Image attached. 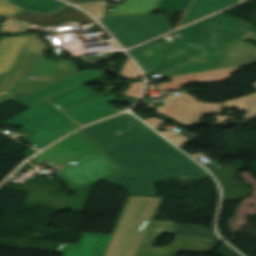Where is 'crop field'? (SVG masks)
Instances as JSON below:
<instances>
[{
  "instance_id": "crop-field-18",
  "label": "crop field",
  "mask_w": 256,
  "mask_h": 256,
  "mask_svg": "<svg viewBox=\"0 0 256 256\" xmlns=\"http://www.w3.org/2000/svg\"><path fill=\"white\" fill-rule=\"evenodd\" d=\"M5 2L11 3L24 10L37 12L48 15L68 4L58 0H6Z\"/></svg>"
},
{
  "instance_id": "crop-field-4",
  "label": "crop field",
  "mask_w": 256,
  "mask_h": 256,
  "mask_svg": "<svg viewBox=\"0 0 256 256\" xmlns=\"http://www.w3.org/2000/svg\"><path fill=\"white\" fill-rule=\"evenodd\" d=\"M162 199L128 196L103 256H136Z\"/></svg>"
},
{
  "instance_id": "crop-field-12",
  "label": "crop field",
  "mask_w": 256,
  "mask_h": 256,
  "mask_svg": "<svg viewBox=\"0 0 256 256\" xmlns=\"http://www.w3.org/2000/svg\"><path fill=\"white\" fill-rule=\"evenodd\" d=\"M13 18L40 26H58L66 21L78 23L94 21L89 15L70 5L49 16L24 11Z\"/></svg>"
},
{
  "instance_id": "crop-field-30",
  "label": "crop field",
  "mask_w": 256,
  "mask_h": 256,
  "mask_svg": "<svg viewBox=\"0 0 256 256\" xmlns=\"http://www.w3.org/2000/svg\"><path fill=\"white\" fill-rule=\"evenodd\" d=\"M254 116H256V103L252 106V108L249 110V112L247 114L243 115V117L245 119L250 118V117H254Z\"/></svg>"
},
{
  "instance_id": "crop-field-32",
  "label": "crop field",
  "mask_w": 256,
  "mask_h": 256,
  "mask_svg": "<svg viewBox=\"0 0 256 256\" xmlns=\"http://www.w3.org/2000/svg\"><path fill=\"white\" fill-rule=\"evenodd\" d=\"M215 118H217V121L213 123L212 125H218L221 121L231 119L230 117H224L221 115H217Z\"/></svg>"
},
{
  "instance_id": "crop-field-10",
  "label": "crop field",
  "mask_w": 256,
  "mask_h": 256,
  "mask_svg": "<svg viewBox=\"0 0 256 256\" xmlns=\"http://www.w3.org/2000/svg\"><path fill=\"white\" fill-rule=\"evenodd\" d=\"M115 99L114 94H112L63 109V111L83 126L89 122L118 113V111L107 104L108 102L115 101Z\"/></svg>"
},
{
  "instance_id": "crop-field-15",
  "label": "crop field",
  "mask_w": 256,
  "mask_h": 256,
  "mask_svg": "<svg viewBox=\"0 0 256 256\" xmlns=\"http://www.w3.org/2000/svg\"><path fill=\"white\" fill-rule=\"evenodd\" d=\"M24 49L40 55L30 75L55 74L59 72V67L57 68L55 61L43 58L45 51H48V46L37 38V33L31 34Z\"/></svg>"
},
{
  "instance_id": "crop-field-16",
  "label": "crop field",
  "mask_w": 256,
  "mask_h": 256,
  "mask_svg": "<svg viewBox=\"0 0 256 256\" xmlns=\"http://www.w3.org/2000/svg\"><path fill=\"white\" fill-rule=\"evenodd\" d=\"M28 38L29 35L0 38V74L9 71L19 49Z\"/></svg>"
},
{
  "instance_id": "crop-field-23",
  "label": "crop field",
  "mask_w": 256,
  "mask_h": 256,
  "mask_svg": "<svg viewBox=\"0 0 256 256\" xmlns=\"http://www.w3.org/2000/svg\"><path fill=\"white\" fill-rule=\"evenodd\" d=\"M29 27L30 25L7 19L0 27V32H22Z\"/></svg>"
},
{
  "instance_id": "crop-field-27",
  "label": "crop field",
  "mask_w": 256,
  "mask_h": 256,
  "mask_svg": "<svg viewBox=\"0 0 256 256\" xmlns=\"http://www.w3.org/2000/svg\"><path fill=\"white\" fill-rule=\"evenodd\" d=\"M218 253H220L222 256H240L225 244L222 246Z\"/></svg>"
},
{
  "instance_id": "crop-field-9",
  "label": "crop field",
  "mask_w": 256,
  "mask_h": 256,
  "mask_svg": "<svg viewBox=\"0 0 256 256\" xmlns=\"http://www.w3.org/2000/svg\"><path fill=\"white\" fill-rule=\"evenodd\" d=\"M102 76H104V73L99 70H88L80 72L35 92L22 96L14 101L31 107L49 96L78 86L82 83L90 82Z\"/></svg>"
},
{
  "instance_id": "crop-field-13",
  "label": "crop field",
  "mask_w": 256,
  "mask_h": 256,
  "mask_svg": "<svg viewBox=\"0 0 256 256\" xmlns=\"http://www.w3.org/2000/svg\"><path fill=\"white\" fill-rule=\"evenodd\" d=\"M240 68L173 78L171 79L172 83L159 84L157 85V87L161 91H170V90H180L186 84L197 82V81L202 83L223 82L228 77H230L232 73L239 70Z\"/></svg>"
},
{
  "instance_id": "crop-field-22",
  "label": "crop field",
  "mask_w": 256,
  "mask_h": 256,
  "mask_svg": "<svg viewBox=\"0 0 256 256\" xmlns=\"http://www.w3.org/2000/svg\"><path fill=\"white\" fill-rule=\"evenodd\" d=\"M254 101H256V93L239 97L235 100L225 101L224 105H225V108L237 107L243 111H246Z\"/></svg>"
},
{
  "instance_id": "crop-field-28",
  "label": "crop field",
  "mask_w": 256,
  "mask_h": 256,
  "mask_svg": "<svg viewBox=\"0 0 256 256\" xmlns=\"http://www.w3.org/2000/svg\"><path fill=\"white\" fill-rule=\"evenodd\" d=\"M167 139H169L172 143H174L176 146H178L180 148V146L186 141L188 140L186 137L184 136H179L176 138L173 137H167Z\"/></svg>"
},
{
  "instance_id": "crop-field-5",
  "label": "crop field",
  "mask_w": 256,
  "mask_h": 256,
  "mask_svg": "<svg viewBox=\"0 0 256 256\" xmlns=\"http://www.w3.org/2000/svg\"><path fill=\"white\" fill-rule=\"evenodd\" d=\"M148 129L125 113L75 132L98 151Z\"/></svg>"
},
{
  "instance_id": "crop-field-20",
  "label": "crop field",
  "mask_w": 256,
  "mask_h": 256,
  "mask_svg": "<svg viewBox=\"0 0 256 256\" xmlns=\"http://www.w3.org/2000/svg\"><path fill=\"white\" fill-rule=\"evenodd\" d=\"M193 0H159L154 10L184 11L188 10Z\"/></svg>"
},
{
  "instance_id": "crop-field-6",
  "label": "crop field",
  "mask_w": 256,
  "mask_h": 256,
  "mask_svg": "<svg viewBox=\"0 0 256 256\" xmlns=\"http://www.w3.org/2000/svg\"><path fill=\"white\" fill-rule=\"evenodd\" d=\"M176 223L153 222L137 256H177L180 251H211L217 240L174 234ZM165 232L176 235L174 243L152 248L156 237Z\"/></svg>"
},
{
  "instance_id": "crop-field-17",
  "label": "crop field",
  "mask_w": 256,
  "mask_h": 256,
  "mask_svg": "<svg viewBox=\"0 0 256 256\" xmlns=\"http://www.w3.org/2000/svg\"><path fill=\"white\" fill-rule=\"evenodd\" d=\"M158 0H125L105 17L151 15Z\"/></svg>"
},
{
  "instance_id": "crop-field-2",
  "label": "crop field",
  "mask_w": 256,
  "mask_h": 256,
  "mask_svg": "<svg viewBox=\"0 0 256 256\" xmlns=\"http://www.w3.org/2000/svg\"><path fill=\"white\" fill-rule=\"evenodd\" d=\"M123 170L105 180L130 194L156 195L153 182L210 175L150 129L100 151Z\"/></svg>"
},
{
  "instance_id": "crop-field-8",
  "label": "crop field",
  "mask_w": 256,
  "mask_h": 256,
  "mask_svg": "<svg viewBox=\"0 0 256 256\" xmlns=\"http://www.w3.org/2000/svg\"><path fill=\"white\" fill-rule=\"evenodd\" d=\"M100 22L124 49L171 31L148 32L139 17L104 18Z\"/></svg>"
},
{
  "instance_id": "crop-field-19",
  "label": "crop field",
  "mask_w": 256,
  "mask_h": 256,
  "mask_svg": "<svg viewBox=\"0 0 256 256\" xmlns=\"http://www.w3.org/2000/svg\"><path fill=\"white\" fill-rule=\"evenodd\" d=\"M175 233L218 239L213 230L190 224L177 223Z\"/></svg>"
},
{
  "instance_id": "crop-field-7",
  "label": "crop field",
  "mask_w": 256,
  "mask_h": 256,
  "mask_svg": "<svg viewBox=\"0 0 256 256\" xmlns=\"http://www.w3.org/2000/svg\"><path fill=\"white\" fill-rule=\"evenodd\" d=\"M220 112L218 104L197 102L195 98L182 93L181 96L164 99V105L157 108V113L168 115L184 124H194L204 115Z\"/></svg>"
},
{
  "instance_id": "crop-field-33",
  "label": "crop field",
  "mask_w": 256,
  "mask_h": 256,
  "mask_svg": "<svg viewBox=\"0 0 256 256\" xmlns=\"http://www.w3.org/2000/svg\"><path fill=\"white\" fill-rule=\"evenodd\" d=\"M178 35H179V34L175 33V34L170 35V36H167V37H165V38L175 43V41H176Z\"/></svg>"
},
{
  "instance_id": "crop-field-11",
  "label": "crop field",
  "mask_w": 256,
  "mask_h": 256,
  "mask_svg": "<svg viewBox=\"0 0 256 256\" xmlns=\"http://www.w3.org/2000/svg\"><path fill=\"white\" fill-rule=\"evenodd\" d=\"M219 21L222 22L219 23ZM200 23L227 36L242 40L250 38L256 42V27L252 23H247L244 20L219 13Z\"/></svg>"
},
{
  "instance_id": "crop-field-21",
  "label": "crop field",
  "mask_w": 256,
  "mask_h": 256,
  "mask_svg": "<svg viewBox=\"0 0 256 256\" xmlns=\"http://www.w3.org/2000/svg\"><path fill=\"white\" fill-rule=\"evenodd\" d=\"M148 31L171 29L164 14L140 17Z\"/></svg>"
},
{
  "instance_id": "crop-field-3",
  "label": "crop field",
  "mask_w": 256,
  "mask_h": 256,
  "mask_svg": "<svg viewBox=\"0 0 256 256\" xmlns=\"http://www.w3.org/2000/svg\"><path fill=\"white\" fill-rule=\"evenodd\" d=\"M31 160L47 163L58 171L78 162L55 174L76 192L122 170L74 133Z\"/></svg>"
},
{
  "instance_id": "crop-field-14",
  "label": "crop field",
  "mask_w": 256,
  "mask_h": 256,
  "mask_svg": "<svg viewBox=\"0 0 256 256\" xmlns=\"http://www.w3.org/2000/svg\"><path fill=\"white\" fill-rule=\"evenodd\" d=\"M238 2L239 0H194L179 27L227 8Z\"/></svg>"
},
{
  "instance_id": "crop-field-34",
  "label": "crop field",
  "mask_w": 256,
  "mask_h": 256,
  "mask_svg": "<svg viewBox=\"0 0 256 256\" xmlns=\"http://www.w3.org/2000/svg\"><path fill=\"white\" fill-rule=\"evenodd\" d=\"M253 86H255V87H256V82L253 84Z\"/></svg>"
},
{
  "instance_id": "crop-field-31",
  "label": "crop field",
  "mask_w": 256,
  "mask_h": 256,
  "mask_svg": "<svg viewBox=\"0 0 256 256\" xmlns=\"http://www.w3.org/2000/svg\"><path fill=\"white\" fill-rule=\"evenodd\" d=\"M65 1L73 4H82V3H87V2L96 1V0H65Z\"/></svg>"
},
{
  "instance_id": "crop-field-25",
  "label": "crop field",
  "mask_w": 256,
  "mask_h": 256,
  "mask_svg": "<svg viewBox=\"0 0 256 256\" xmlns=\"http://www.w3.org/2000/svg\"><path fill=\"white\" fill-rule=\"evenodd\" d=\"M142 88H143V82L131 84L130 87L125 92V95L133 99H138L142 92Z\"/></svg>"
},
{
  "instance_id": "crop-field-24",
  "label": "crop field",
  "mask_w": 256,
  "mask_h": 256,
  "mask_svg": "<svg viewBox=\"0 0 256 256\" xmlns=\"http://www.w3.org/2000/svg\"><path fill=\"white\" fill-rule=\"evenodd\" d=\"M129 78L141 76L138 68L128 58L125 65L119 70Z\"/></svg>"
},
{
  "instance_id": "crop-field-36",
  "label": "crop field",
  "mask_w": 256,
  "mask_h": 256,
  "mask_svg": "<svg viewBox=\"0 0 256 256\" xmlns=\"http://www.w3.org/2000/svg\"><path fill=\"white\" fill-rule=\"evenodd\" d=\"M1 20V19H0Z\"/></svg>"
},
{
  "instance_id": "crop-field-26",
  "label": "crop field",
  "mask_w": 256,
  "mask_h": 256,
  "mask_svg": "<svg viewBox=\"0 0 256 256\" xmlns=\"http://www.w3.org/2000/svg\"><path fill=\"white\" fill-rule=\"evenodd\" d=\"M22 9L17 8L11 4L2 3L0 2V14L5 16H12L18 12H20Z\"/></svg>"
},
{
  "instance_id": "crop-field-35",
  "label": "crop field",
  "mask_w": 256,
  "mask_h": 256,
  "mask_svg": "<svg viewBox=\"0 0 256 256\" xmlns=\"http://www.w3.org/2000/svg\"><path fill=\"white\" fill-rule=\"evenodd\" d=\"M0 1H2V2H3L4 0H0Z\"/></svg>"
},
{
  "instance_id": "crop-field-29",
  "label": "crop field",
  "mask_w": 256,
  "mask_h": 256,
  "mask_svg": "<svg viewBox=\"0 0 256 256\" xmlns=\"http://www.w3.org/2000/svg\"><path fill=\"white\" fill-rule=\"evenodd\" d=\"M146 123H148L149 125H151L152 127H157L161 124H164L166 122L160 121L158 119L152 118V119H148V120H144Z\"/></svg>"
},
{
  "instance_id": "crop-field-1",
  "label": "crop field",
  "mask_w": 256,
  "mask_h": 256,
  "mask_svg": "<svg viewBox=\"0 0 256 256\" xmlns=\"http://www.w3.org/2000/svg\"><path fill=\"white\" fill-rule=\"evenodd\" d=\"M179 41L172 43L164 38L129 51L148 75L155 73L163 78L246 65L256 61V45L227 37L204 25L196 23L178 31Z\"/></svg>"
}]
</instances>
